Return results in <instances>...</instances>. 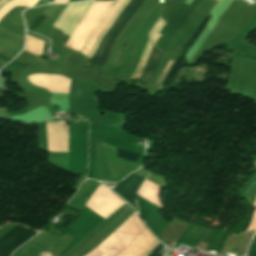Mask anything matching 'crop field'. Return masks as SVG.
<instances>
[{
	"instance_id": "obj_1",
	"label": "crop field",
	"mask_w": 256,
	"mask_h": 256,
	"mask_svg": "<svg viewBox=\"0 0 256 256\" xmlns=\"http://www.w3.org/2000/svg\"><path fill=\"white\" fill-rule=\"evenodd\" d=\"M146 2V0H131L127 7L123 10L120 16L117 18L115 23L110 28V31L121 34L125 27L128 25L131 18L140 9V7ZM108 31L106 36L103 38L98 50L96 51L94 57L87 63L89 65L104 67L112 50L114 44L119 36V34ZM112 33V34H111ZM111 34L107 42L105 43L107 37ZM105 43V45H104ZM104 45V47H103ZM103 47V49H102ZM101 53L99 54L100 50Z\"/></svg>"
},
{
	"instance_id": "obj_2",
	"label": "crop field",
	"mask_w": 256,
	"mask_h": 256,
	"mask_svg": "<svg viewBox=\"0 0 256 256\" xmlns=\"http://www.w3.org/2000/svg\"><path fill=\"white\" fill-rule=\"evenodd\" d=\"M36 234V231L15 226L0 238V256H10L11 253Z\"/></svg>"
},
{
	"instance_id": "obj_3",
	"label": "crop field",
	"mask_w": 256,
	"mask_h": 256,
	"mask_svg": "<svg viewBox=\"0 0 256 256\" xmlns=\"http://www.w3.org/2000/svg\"><path fill=\"white\" fill-rule=\"evenodd\" d=\"M209 18H210V16L207 15L206 18L203 20V22L196 29V31L193 33V35L190 37V39L187 41V43L185 42L186 44L180 50L179 55H178L174 65L172 66L170 72L168 73V75L166 76V78L164 79V81L162 82L161 85L172 84L176 74L178 73V71L183 66V64L186 60V58L184 57L185 54L188 52V50L190 49L192 44L195 42V40L197 39L199 34L202 32V30L204 29L205 24L209 20Z\"/></svg>"
},
{
	"instance_id": "obj_4",
	"label": "crop field",
	"mask_w": 256,
	"mask_h": 256,
	"mask_svg": "<svg viewBox=\"0 0 256 256\" xmlns=\"http://www.w3.org/2000/svg\"><path fill=\"white\" fill-rule=\"evenodd\" d=\"M144 181V178L130 174L122 182L118 183L113 191L123 197L127 202H129L136 210L135 205V193L141 183Z\"/></svg>"
},
{
	"instance_id": "obj_5",
	"label": "crop field",
	"mask_w": 256,
	"mask_h": 256,
	"mask_svg": "<svg viewBox=\"0 0 256 256\" xmlns=\"http://www.w3.org/2000/svg\"><path fill=\"white\" fill-rule=\"evenodd\" d=\"M162 54H163V52H161L160 50H158L155 47V49L152 53L151 59L149 61L148 67H147L145 73L143 74V76L141 77V79L139 80V82L137 83L138 86L143 87L153 77V75L155 74V72L159 66Z\"/></svg>"
},
{
	"instance_id": "obj_6",
	"label": "crop field",
	"mask_w": 256,
	"mask_h": 256,
	"mask_svg": "<svg viewBox=\"0 0 256 256\" xmlns=\"http://www.w3.org/2000/svg\"><path fill=\"white\" fill-rule=\"evenodd\" d=\"M117 156L136 163L139 155L117 148Z\"/></svg>"
},
{
	"instance_id": "obj_7",
	"label": "crop field",
	"mask_w": 256,
	"mask_h": 256,
	"mask_svg": "<svg viewBox=\"0 0 256 256\" xmlns=\"http://www.w3.org/2000/svg\"><path fill=\"white\" fill-rule=\"evenodd\" d=\"M161 243L154 249V251L150 254V256H162V254L158 253L159 250L163 247Z\"/></svg>"
},
{
	"instance_id": "obj_8",
	"label": "crop field",
	"mask_w": 256,
	"mask_h": 256,
	"mask_svg": "<svg viewBox=\"0 0 256 256\" xmlns=\"http://www.w3.org/2000/svg\"><path fill=\"white\" fill-rule=\"evenodd\" d=\"M253 209H254V206H251V208H250V210H249V217H248L247 221L244 223V225H243L242 230H241L240 233H242V232L245 231V229H246V227H247V225H248L249 218H250V216H251V214H252Z\"/></svg>"
},
{
	"instance_id": "obj_9",
	"label": "crop field",
	"mask_w": 256,
	"mask_h": 256,
	"mask_svg": "<svg viewBox=\"0 0 256 256\" xmlns=\"http://www.w3.org/2000/svg\"><path fill=\"white\" fill-rule=\"evenodd\" d=\"M253 256H256V250H255V252H254Z\"/></svg>"
},
{
	"instance_id": "obj_10",
	"label": "crop field",
	"mask_w": 256,
	"mask_h": 256,
	"mask_svg": "<svg viewBox=\"0 0 256 256\" xmlns=\"http://www.w3.org/2000/svg\"><path fill=\"white\" fill-rule=\"evenodd\" d=\"M171 60H172V59H171ZM170 62H171V61H170ZM169 64H170V63H169ZM169 64H168V65H169ZM167 67H168V66H167ZM167 67H166V68H167ZM165 70H166V69H165ZM164 72H165V71H164Z\"/></svg>"
}]
</instances>
